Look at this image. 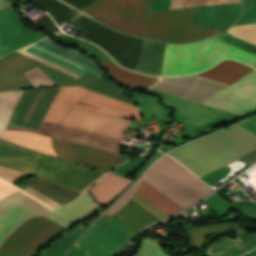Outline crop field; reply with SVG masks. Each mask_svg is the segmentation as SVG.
Listing matches in <instances>:
<instances>
[{
    "instance_id": "8a807250",
    "label": "crop field",
    "mask_w": 256,
    "mask_h": 256,
    "mask_svg": "<svg viewBox=\"0 0 256 256\" xmlns=\"http://www.w3.org/2000/svg\"><path fill=\"white\" fill-rule=\"evenodd\" d=\"M22 93L23 91L0 92V136L6 130L8 121ZM70 105L141 121L136 107L87 91L78 86L61 87L43 120L59 124ZM44 121L41 122L37 131L22 126L12 130H26L46 136L77 141L119 153L121 140Z\"/></svg>"
},
{
    "instance_id": "ac0d7876",
    "label": "crop field",
    "mask_w": 256,
    "mask_h": 256,
    "mask_svg": "<svg viewBox=\"0 0 256 256\" xmlns=\"http://www.w3.org/2000/svg\"><path fill=\"white\" fill-rule=\"evenodd\" d=\"M256 150V135L236 124L167 153L202 177Z\"/></svg>"
},
{
    "instance_id": "34b2d1b8",
    "label": "crop field",
    "mask_w": 256,
    "mask_h": 256,
    "mask_svg": "<svg viewBox=\"0 0 256 256\" xmlns=\"http://www.w3.org/2000/svg\"><path fill=\"white\" fill-rule=\"evenodd\" d=\"M0 165L36 175L77 192L102 174L62 159L29 150L3 139H0ZM103 175L105 174L99 176L82 191Z\"/></svg>"
},
{
    "instance_id": "412701ff",
    "label": "crop field",
    "mask_w": 256,
    "mask_h": 256,
    "mask_svg": "<svg viewBox=\"0 0 256 256\" xmlns=\"http://www.w3.org/2000/svg\"><path fill=\"white\" fill-rule=\"evenodd\" d=\"M223 58H234L251 66L256 62V55L208 38L186 45L166 44L161 76L200 72Z\"/></svg>"
},
{
    "instance_id": "f4fd0767",
    "label": "crop field",
    "mask_w": 256,
    "mask_h": 256,
    "mask_svg": "<svg viewBox=\"0 0 256 256\" xmlns=\"http://www.w3.org/2000/svg\"><path fill=\"white\" fill-rule=\"evenodd\" d=\"M16 144L107 171L126 158L118 154L26 131H5L1 136Z\"/></svg>"
},
{
    "instance_id": "dd49c442",
    "label": "crop field",
    "mask_w": 256,
    "mask_h": 256,
    "mask_svg": "<svg viewBox=\"0 0 256 256\" xmlns=\"http://www.w3.org/2000/svg\"><path fill=\"white\" fill-rule=\"evenodd\" d=\"M82 12L96 0H64ZM153 0H97L83 13L128 34L143 37Z\"/></svg>"
},
{
    "instance_id": "e52e79f7",
    "label": "crop field",
    "mask_w": 256,
    "mask_h": 256,
    "mask_svg": "<svg viewBox=\"0 0 256 256\" xmlns=\"http://www.w3.org/2000/svg\"><path fill=\"white\" fill-rule=\"evenodd\" d=\"M144 180L183 208L214 190L166 155L148 170Z\"/></svg>"
},
{
    "instance_id": "d8731c3e",
    "label": "crop field",
    "mask_w": 256,
    "mask_h": 256,
    "mask_svg": "<svg viewBox=\"0 0 256 256\" xmlns=\"http://www.w3.org/2000/svg\"><path fill=\"white\" fill-rule=\"evenodd\" d=\"M144 92L158 94L166 107L174 109V121L180 122L195 137L216 127L237 120L239 115L218 110L193 101L147 88Z\"/></svg>"
},
{
    "instance_id": "5a996713",
    "label": "crop field",
    "mask_w": 256,
    "mask_h": 256,
    "mask_svg": "<svg viewBox=\"0 0 256 256\" xmlns=\"http://www.w3.org/2000/svg\"><path fill=\"white\" fill-rule=\"evenodd\" d=\"M194 8L151 12L145 37L168 42H185L207 37L218 30L191 24Z\"/></svg>"
},
{
    "instance_id": "3316defc",
    "label": "crop field",
    "mask_w": 256,
    "mask_h": 256,
    "mask_svg": "<svg viewBox=\"0 0 256 256\" xmlns=\"http://www.w3.org/2000/svg\"><path fill=\"white\" fill-rule=\"evenodd\" d=\"M72 21L79 25L82 33L80 37L99 45L118 64L135 69L141 50V39L110 30L84 15Z\"/></svg>"
},
{
    "instance_id": "28ad6ade",
    "label": "crop field",
    "mask_w": 256,
    "mask_h": 256,
    "mask_svg": "<svg viewBox=\"0 0 256 256\" xmlns=\"http://www.w3.org/2000/svg\"><path fill=\"white\" fill-rule=\"evenodd\" d=\"M53 43L47 37L16 52L68 74L76 80L87 71L99 78L104 75L93 60L83 58L78 52L58 47Z\"/></svg>"
},
{
    "instance_id": "d1516ede",
    "label": "crop field",
    "mask_w": 256,
    "mask_h": 256,
    "mask_svg": "<svg viewBox=\"0 0 256 256\" xmlns=\"http://www.w3.org/2000/svg\"><path fill=\"white\" fill-rule=\"evenodd\" d=\"M65 228L41 215L18 226L0 247V256H34L44 245Z\"/></svg>"
},
{
    "instance_id": "22f410ed",
    "label": "crop field",
    "mask_w": 256,
    "mask_h": 256,
    "mask_svg": "<svg viewBox=\"0 0 256 256\" xmlns=\"http://www.w3.org/2000/svg\"><path fill=\"white\" fill-rule=\"evenodd\" d=\"M23 194L31 197L48 208L53 209L10 183L0 179V203L14 199ZM25 195L0 205V242L19 223L28 217L50 210Z\"/></svg>"
},
{
    "instance_id": "cbeb9de0",
    "label": "crop field",
    "mask_w": 256,
    "mask_h": 256,
    "mask_svg": "<svg viewBox=\"0 0 256 256\" xmlns=\"http://www.w3.org/2000/svg\"><path fill=\"white\" fill-rule=\"evenodd\" d=\"M133 236L108 217L93 225L76 243L95 256H113Z\"/></svg>"
},
{
    "instance_id": "5142ce71",
    "label": "crop field",
    "mask_w": 256,
    "mask_h": 256,
    "mask_svg": "<svg viewBox=\"0 0 256 256\" xmlns=\"http://www.w3.org/2000/svg\"><path fill=\"white\" fill-rule=\"evenodd\" d=\"M203 104L242 116L256 108V70L228 86Z\"/></svg>"
},
{
    "instance_id": "d9b57169",
    "label": "crop field",
    "mask_w": 256,
    "mask_h": 256,
    "mask_svg": "<svg viewBox=\"0 0 256 256\" xmlns=\"http://www.w3.org/2000/svg\"><path fill=\"white\" fill-rule=\"evenodd\" d=\"M130 121L70 106L60 124L121 139Z\"/></svg>"
},
{
    "instance_id": "733c2abd",
    "label": "crop field",
    "mask_w": 256,
    "mask_h": 256,
    "mask_svg": "<svg viewBox=\"0 0 256 256\" xmlns=\"http://www.w3.org/2000/svg\"><path fill=\"white\" fill-rule=\"evenodd\" d=\"M59 88L24 91L9 124L37 130Z\"/></svg>"
},
{
    "instance_id": "4a817a6b",
    "label": "crop field",
    "mask_w": 256,
    "mask_h": 256,
    "mask_svg": "<svg viewBox=\"0 0 256 256\" xmlns=\"http://www.w3.org/2000/svg\"><path fill=\"white\" fill-rule=\"evenodd\" d=\"M46 35L28 29L13 7L0 12V50L8 54ZM0 51V57L6 55Z\"/></svg>"
},
{
    "instance_id": "bc2a9ffb",
    "label": "crop field",
    "mask_w": 256,
    "mask_h": 256,
    "mask_svg": "<svg viewBox=\"0 0 256 256\" xmlns=\"http://www.w3.org/2000/svg\"><path fill=\"white\" fill-rule=\"evenodd\" d=\"M225 86L227 85L194 75L161 79L151 88L201 102Z\"/></svg>"
},
{
    "instance_id": "214f88e0",
    "label": "crop field",
    "mask_w": 256,
    "mask_h": 256,
    "mask_svg": "<svg viewBox=\"0 0 256 256\" xmlns=\"http://www.w3.org/2000/svg\"><path fill=\"white\" fill-rule=\"evenodd\" d=\"M39 65L16 52L0 59V90L33 87L22 73Z\"/></svg>"
},
{
    "instance_id": "92a150f3",
    "label": "crop field",
    "mask_w": 256,
    "mask_h": 256,
    "mask_svg": "<svg viewBox=\"0 0 256 256\" xmlns=\"http://www.w3.org/2000/svg\"><path fill=\"white\" fill-rule=\"evenodd\" d=\"M103 206L93 202L91 196L86 190L80 197L69 204L58 207L49 212L43 213L44 217L68 228L73 218L82 221L96 214Z\"/></svg>"
},
{
    "instance_id": "dafd665d",
    "label": "crop field",
    "mask_w": 256,
    "mask_h": 256,
    "mask_svg": "<svg viewBox=\"0 0 256 256\" xmlns=\"http://www.w3.org/2000/svg\"><path fill=\"white\" fill-rule=\"evenodd\" d=\"M240 12V3L195 7L192 23L222 30L232 24Z\"/></svg>"
},
{
    "instance_id": "00972430",
    "label": "crop field",
    "mask_w": 256,
    "mask_h": 256,
    "mask_svg": "<svg viewBox=\"0 0 256 256\" xmlns=\"http://www.w3.org/2000/svg\"><path fill=\"white\" fill-rule=\"evenodd\" d=\"M110 217L134 235L143 226L158 219L133 200H130L127 206Z\"/></svg>"
},
{
    "instance_id": "a9b5d70f",
    "label": "crop field",
    "mask_w": 256,
    "mask_h": 256,
    "mask_svg": "<svg viewBox=\"0 0 256 256\" xmlns=\"http://www.w3.org/2000/svg\"><path fill=\"white\" fill-rule=\"evenodd\" d=\"M165 44L143 39L140 58L135 71L160 76Z\"/></svg>"
},
{
    "instance_id": "4177f3b9",
    "label": "crop field",
    "mask_w": 256,
    "mask_h": 256,
    "mask_svg": "<svg viewBox=\"0 0 256 256\" xmlns=\"http://www.w3.org/2000/svg\"><path fill=\"white\" fill-rule=\"evenodd\" d=\"M131 182L132 180L109 173L89 191L94 197L95 201L106 206L115 195L121 193L123 189Z\"/></svg>"
},
{
    "instance_id": "730fd06b",
    "label": "crop field",
    "mask_w": 256,
    "mask_h": 256,
    "mask_svg": "<svg viewBox=\"0 0 256 256\" xmlns=\"http://www.w3.org/2000/svg\"><path fill=\"white\" fill-rule=\"evenodd\" d=\"M252 70L254 69L238 62L223 60L215 67L197 75L230 85Z\"/></svg>"
},
{
    "instance_id": "eef30255",
    "label": "crop field",
    "mask_w": 256,
    "mask_h": 256,
    "mask_svg": "<svg viewBox=\"0 0 256 256\" xmlns=\"http://www.w3.org/2000/svg\"><path fill=\"white\" fill-rule=\"evenodd\" d=\"M244 11L239 21L230 28L256 24V0H243ZM229 28V29H230ZM226 32L237 36L256 45V25L226 30Z\"/></svg>"
},
{
    "instance_id": "ae1a2a85",
    "label": "crop field",
    "mask_w": 256,
    "mask_h": 256,
    "mask_svg": "<svg viewBox=\"0 0 256 256\" xmlns=\"http://www.w3.org/2000/svg\"><path fill=\"white\" fill-rule=\"evenodd\" d=\"M135 193L167 215L183 209L144 180Z\"/></svg>"
},
{
    "instance_id": "d3111659",
    "label": "crop field",
    "mask_w": 256,
    "mask_h": 256,
    "mask_svg": "<svg viewBox=\"0 0 256 256\" xmlns=\"http://www.w3.org/2000/svg\"><path fill=\"white\" fill-rule=\"evenodd\" d=\"M230 229H232L234 232L242 230V228L234 223H221L187 229L183 231L189 235V245L191 249H201L206 235Z\"/></svg>"
},
{
    "instance_id": "750c4746",
    "label": "crop field",
    "mask_w": 256,
    "mask_h": 256,
    "mask_svg": "<svg viewBox=\"0 0 256 256\" xmlns=\"http://www.w3.org/2000/svg\"><path fill=\"white\" fill-rule=\"evenodd\" d=\"M133 100L139 105L142 114L154 116L158 119L171 122V111L159 104L158 98L133 93Z\"/></svg>"
},
{
    "instance_id": "bd1437ed",
    "label": "crop field",
    "mask_w": 256,
    "mask_h": 256,
    "mask_svg": "<svg viewBox=\"0 0 256 256\" xmlns=\"http://www.w3.org/2000/svg\"><path fill=\"white\" fill-rule=\"evenodd\" d=\"M37 4L41 8L48 11L54 18L57 25L64 23L72 18L77 17L79 14L76 13L72 8L64 5L57 0H30Z\"/></svg>"
},
{
    "instance_id": "1d83c4d3",
    "label": "crop field",
    "mask_w": 256,
    "mask_h": 256,
    "mask_svg": "<svg viewBox=\"0 0 256 256\" xmlns=\"http://www.w3.org/2000/svg\"><path fill=\"white\" fill-rule=\"evenodd\" d=\"M242 253H245V250L242 248L240 243L236 239L225 237L214 243H212L207 252L206 256H237Z\"/></svg>"
},
{
    "instance_id": "120bbe31",
    "label": "crop field",
    "mask_w": 256,
    "mask_h": 256,
    "mask_svg": "<svg viewBox=\"0 0 256 256\" xmlns=\"http://www.w3.org/2000/svg\"><path fill=\"white\" fill-rule=\"evenodd\" d=\"M39 68L44 71L53 81H55L58 85H71V84H77V85H81V86H85L95 80H97L98 78L93 76L90 73H86L84 74L80 79H78L77 81L74 80L73 78L58 72L50 67L41 65L39 66Z\"/></svg>"
},
{
    "instance_id": "d32e631a",
    "label": "crop field",
    "mask_w": 256,
    "mask_h": 256,
    "mask_svg": "<svg viewBox=\"0 0 256 256\" xmlns=\"http://www.w3.org/2000/svg\"><path fill=\"white\" fill-rule=\"evenodd\" d=\"M86 229L84 223L78 225L75 230L69 232L60 241L55 242L44 256H61Z\"/></svg>"
},
{
    "instance_id": "5866460e",
    "label": "crop field",
    "mask_w": 256,
    "mask_h": 256,
    "mask_svg": "<svg viewBox=\"0 0 256 256\" xmlns=\"http://www.w3.org/2000/svg\"><path fill=\"white\" fill-rule=\"evenodd\" d=\"M86 87L103 93L105 95L116 97L123 101L135 104V102L131 98L125 95L123 89L119 88L115 83L103 77Z\"/></svg>"
},
{
    "instance_id": "028f5c9d",
    "label": "crop field",
    "mask_w": 256,
    "mask_h": 256,
    "mask_svg": "<svg viewBox=\"0 0 256 256\" xmlns=\"http://www.w3.org/2000/svg\"><path fill=\"white\" fill-rule=\"evenodd\" d=\"M26 184L37 189L38 191L42 192L43 194L47 195L48 197L52 198L53 200L57 201L58 203H60L62 205L73 200V199H71V198L37 182V181L32 180Z\"/></svg>"
},
{
    "instance_id": "e1f06a70",
    "label": "crop field",
    "mask_w": 256,
    "mask_h": 256,
    "mask_svg": "<svg viewBox=\"0 0 256 256\" xmlns=\"http://www.w3.org/2000/svg\"><path fill=\"white\" fill-rule=\"evenodd\" d=\"M26 78L32 83L34 87L40 86H55L56 84L38 67L24 73Z\"/></svg>"
},
{
    "instance_id": "0bd39190",
    "label": "crop field",
    "mask_w": 256,
    "mask_h": 256,
    "mask_svg": "<svg viewBox=\"0 0 256 256\" xmlns=\"http://www.w3.org/2000/svg\"><path fill=\"white\" fill-rule=\"evenodd\" d=\"M234 2H239V0H172L170 9Z\"/></svg>"
},
{
    "instance_id": "b80d0937",
    "label": "crop field",
    "mask_w": 256,
    "mask_h": 256,
    "mask_svg": "<svg viewBox=\"0 0 256 256\" xmlns=\"http://www.w3.org/2000/svg\"><path fill=\"white\" fill-rule=\"evenodd\" d=\"M100 65H102L104 67V69L108 72L123 75L126 77L134 78V79L149 82V83H152L153 81H155L157 79L154 77H146V76L134 73V72L126 71L116 65L106 63V62H100Z\"/></svg>"
},
{
    "instance_id": "c035e120",
    "label": "crop field",
    "mask_w": 256,
    "mask_h": 256,
    "mask_svg": "<svg viewBox=\"0 0 256 256\" xmlns=\"http://www.w3.org/2000/svg\"><path fill=\"white\" fill-rule=\"evenodd\" d=\"M73 46L80 48L82 51L90 54L91 56H93L94 58H96L100 61L105 60L107 62L114 63L104 52H102L97 47H95L81 39H79Z\"/></svg>"
},
{
    "instance_id": "c21b1889",
    "label": "crop field",
    "mask_w": 256,
    "mask_h": 256,
    "mask_svg": "<svg viewBox=\"0 0 256 256\" xmlns=\"http://www.w3.org/2000/svg\"><path fill=\"white\" fill-rule=\"evenodd\" d=\"M212 38H215V39H218V40H221V41H225V42H228V43H231V44H234L240 48H243L247 51H250L252 53H255L256 54V46L250 44V43H247L245 41H242L238 38H235L233 36H230L226 33H219L217 35H214L212 36Z\"/></svg>"
},
{
    "instance_id": "03da06ac",
    "label": "crop field",
    "mask_w": 256,
    "mask_h": 256,
    "mask_svg": "<svg viewBox=\"0 0 256 256\" xmlns=\"http://www.w3.org/2000/svg\"><path fill=\"white\" fill-rule=\"evenodd\" d=\"M168 256L163 253L156 242L143 240L140 251L135 256Z\"/></svg>"
},
{
    "instance_id": "b54c1fbb",
    "label": "crop field",
    "mask_w": 256,
    "mask_h": 256,
    "mask_svg": "<svg viewBox=\"0 0 256 256\" xmlns=\"http://www.w3.org/2000/svg\"><path fill=\"white\" fill-rule=\"evenodd\" d=\"M231 208L247 218L256 219V202H235Z\"/></svg>"
},
{
    "instance_id": "5d738f31",
    "label": "crop field",
    "mask_w": 256,
    "mask_h": 256,
    "mask_svg": "<svg viewBox=\"0 0 256 256\" xmlns=\"http://www.w3.org/2000/svg\"><path fill=\"white\" fill-rule=\"evenodd\" d=\"M145 158H146V156H138V157L128 161L124 165L116 168L115 170L112 171V173L120 174V175L126 177L130 173H132V171L136 167H138L145 160Z\"/></svg>"
},
{
    "instance_id": "d23c7cc5",
    "label": "crop field",
    "mask_w": 256,
    "mask_h": 256,
    "mask_svg": "<svg viewBox=\"0 0 256 256\" xmlns=\"http://www.w3.org/2000/svg\"><path fill=\"white\" fill-rule=\"evenodd\" d=\"M145 173L141 176V178L110 208L107 212L109 215L117 212L120 210L130 199L132 194L134 193L135 189L137 188L140 181L143 179Z\"/></svg>"
},
{
    "instance_id": "425ffa30",
    "label": "crop field",
    "mask_w": 256,
    "mask_h": 256,
    "mask_svg": "<svg viewBox=\"0 0 256 256\" xmlns=\"http://www.w3.org/2000/svg\"><path fill=\"white\" fill-rule=\"evenodd\" d=\"M135 202H137L138 204H140L142 207H144L145 209H147L149 212H151L152 214H154L156 217L161 218V217H165L167 215H165L164 213H162L160 210H158L157 208H155L154 206H152L150 203H148L147 201H145L144 199H142L140 196H138L137 194L134 193V195L132 196V198Z\"/></svg>"
},
{
    "instance_id": "25e5ab78",
    "label": "crop field",
    "mask_w": 256,
    "mask_h": 256,
    "mask_svg": "<svg viewBox=\"0 0 256 256\" xmlns=\"http://www.w3.org/2000/svg\"><path fill=\"white\" fill-rule=\"evenodd\" d=\"M108 75L114 77L117 81H119L120 83H122V84H124V85H126L130 88H136V89L141 90L144 87H146L147 85H149V84H145V83H142V82H139V81H135V80L128 79V78H125V77H121V76L111 74V73H109Z\"/></svg>"
},
{
    "instance_id": "73cf0c24",
    "label": "crop field",
    "mask_w": 256,
    "mask_h": 256,
    "mask_svg": "<svg viewBox=\"0 0 256 256\" xmlns=\"http://www.w3.org/2000/svg\"><path fill=\"white\" fill-rule=\"evenodd\" d=\"M25 173H21L15 170H11L5 167L0 166V177L9 181V182H14L21 176H23Z\"/></svg>"
},
{
    "instance_id": "89e229c0",
    "label": "crop field",
    "mask_w": 256,
    "mask_h": 256,
    "mask_svg": "<svg viewBox=\"0 0 256 256\" xmlns=\"http://www.w3.org/2000/svg\"><path fill=\"white\" fill-rule=\"evenodd\" d=\"M33 179H35V180H37V181H39V182H41V183H43V184H45V185L51 187V188H53V189H55V190H57V191H60V192L66 194V195H68V196H70V197H72V198H74V199L80 195V194H78V193H76V192H74V191H72V190H69V189H67V188H64V187H62V186H60V185H58V184L50 183V182L45 181V180H43V179H40V178H38V177L33 178Z\"/></svg>"
},
{
    "instance_id": "1f2cbd36",
    "label": "crop field",
    "mask_w": 256,
    "mask_h": 256,
    "mask_svg": "<svg viewBox=\"0 0 256 256\" xmlns=\"http://www.w3.org/2000/svg\"><path fill=\"white\" fill-rule=\"evenodd\" d=\"M25 192L33 195L34 197L40 199L41 201L47 203L48 205L56 208L58 206H61L60 204H58L57 202L53 201L52 199L48 198L47 196L37 192L35 189L29 187L27 189L24 190Z\"/></svg>"
},
{
    "instance_id": "dbb93151",
    "label": "crop field",
    "mask_w": 256,
    "mask_h": 256,
    "mask_svg": "<svg viewBox=\"0 0 256 256\" xmlns=\"http://www.w3.org/2000/svg\"><path fill=\"white\" fill-rule=\"evenodd\" d=\"M64 256H93V255L75 243L67 251V253Z\"/></svg>"
},
{
    "instance_id": "0fb4a251",
    "label": "crop field",
    "mask_w": 256,
    "mask_h": 256,
    "mask_svg": "<svg viewBox=\"0 0 256 256\" xmlns=\"http://www.w3.org/2000/svg\"><path fill=\"white\" fill-rule=\"evenodd\" d=\"M43 30H46L50 33L54 32L55 30H57V28L54 26L53 22L51 21V19H49L48 17H46L43 21H41L38 25H35Z\"/></svg>"
},
{
    "instance_id": "1d79db26",
    "label": "crop field",
    "mask_w": 256,
    "mask_h": 256,
    "mask_svg": "<svg viewBox=\"0 0 256 256\" xmlns=\"http://www.w3.org/2000/svg\"><path fill=\"white\" fill-rule=\"evenodd\" d=\"M245 127L246 129L250 130L254 134H256V117L246 120L244 122L238 123Z\"/></svg>"
},
{
    "instance_id": "9d1cf04e",
    "label": "crop field",
    "mask_w": 256,
    "mask_h": 256,
    "mask_svg": "<svg viewBox=\"0 0 256 256\" xmlns=\"http://www.w3.org/2000/svg\"><path fill=\"white\" fill-rule=\"evenodd\" d=\"M255 236H256V233H255ZM244 248L249 251L251 249H253L254 247H256V237L254 238H251L249 240H246V241H243V242H240Z\"/></svg>"
},
{
    "instance_id": "447ae74e",
    "label": "crop field",
    "mask_w": 256,
    "mask_h": 256,
    "mask_svg": "<svg viewBox=\"0 0 256 256\" xmlns=\"http://www.w3.org/2000/svg\"><path fill=\"white\" fill-rule=\"evenodd\" d=\"M249 177L246 179L256 189V167L247 172Z\"/></svg>"
},
{
    "instance_id": "0765c3eb",
    "label": "crop field",
    "mask_w": 256,
    "mask_h": 256,
    "mask_svg": "<svg viewBox=\"0 0 256 256\" xmlns=\"http://www.w3.org/2000/svg\"><path fill=\"white\" fill-rule=\"evenodd\" d=\"M241 160L248 166L249 164L256 161V151L241 158Z\"/></svg>"
},
{
    "instance_id": "db79e9e6",
    "label": "crop field",
    "mask_w": 256,
    "mask_h": 256,
    "mask_svg": "<svg viewBox=\"0 0 256 256\" xmlns=\"http://www.w3.org/2000/svg\"><path fill=\"white\" fill-rule=\"evenodd\" d=\"M184 217H187L185 211L180 213V214H178V215H176V216H174V217H171L169 219L163 220V221H161V223L164 224V223H167V222H170V221H174V220H177V219H180V218H184Z\"/></svg>"
},
{
    "instance_id": "7b73153f",
    "label": "crop field",
    "mask_w": 256,
    "mask_h": 256,
    "mask_svg": "<svg viewBox=\"0 0 256 256\" xmlns=\"http://www.w3.org/2000/svg\"><path fill=\"white\" fill-rule=\"evenodd\" d=\"M16 3L14 2H8L7 0H2L0 1V11L10 7V6H14Z\"/></svg>"
},
{
    "instance_id": "78b8030e",
    "label": "crop field",
    "mask_w": 256,
    "mask_h": 256,
    "mask_svg": "<svg viewBox=\"0 0 256 256\" xmlns=\"http://www.w3.org/2000/svg\"><path fill=\"white\" fill-rule=\"evenodd\" d=\"M242 256H256V249Z\"/></svg>"
}]
</instances>
